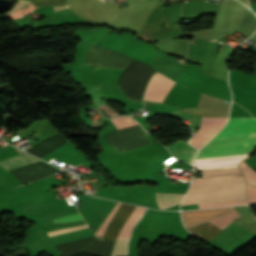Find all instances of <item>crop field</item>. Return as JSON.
Wrapping results in <instances>:
<instances>
[{
  "instance_id": "obj_9",
  "label": "crop field",
  "mask_w": 256,
  "mask_h": 256,
  "mask_svg": "<svg viewBox=\"0 0 256 256\" xmlns=\"http://www.w3.org/2000/svg\"><path fill=\"white\" fill-rule=\"evenodd\" d=\"M189 230L192 233H194L197 236V238H199L205 242L210 240L213 236H215L218 232L221 231L218 228H216L214 225H212L211 223L201 224V225L195 226L193 228H189Z\"/></svg>"
},
{
  "instance_id": "obj_5",
  "label": "crop field",
  "mask_w": 256,
  "mask_h": 256,
  "mask_svg": "<svg viewBox=\"0 0 256 256\" xmlns=\"http://www.w3.org/2000/svg\"><path fill=\"white\" fill-rule=\"evenodd\" d=\"M131 58L117 52L91 45L86 53L84 64H93L97 68H121L127 67Z\"/></svg>"
},
{
  "instance_id": "obj_11",
  "label": "crop field",
  "mask_w": 256,
  "mask_h": 256,
  "mask_svg": "<svg viewBox=\"0 0 256 256\" xmlns=\"http://www.w3.org/2000/svg\"><path fill=\"white\" fill-rule=\"evenodd\" d=\"M25 1H29L37 7L44 6V5L63 6L65 4H67V0H25ZM25 1L19 0L18 3L16 4L15 8L11 12H9L6 15V17L10 16L12 13L19 10L23 6L27 5L28 2H25Z\"/></svg>"
},
{
  "instance_id": "obj_15",
  "label": "crop field",
  "mask_w": 256,
  "mask_h": 256,
  "mask_svg": "<svg viewBox=\"0 0 256 256\" xmlns=\"http://www.w3.org/2000/svg\"><path fill=\"white\" fill-rule=\"evenodd\" d=\"M81 219H82V217L79 215V213H77V214L65 216L62 218L54 219L53 221H54V223H56V222L77 221V220H81Z\"/></svg>"
},
{
  "instance_id": "obj_12",
  "label": "crop field",
  "mask_w": 256,
  "mask_h": 256,
  "mask_svg": "<svg viewBox=\"0 0 256 256\" xmlns=\"http://www.w3.org/2000/svg\"><path fill=\"white\" fill-rule=\"evenodd\" d=\"M240 170L242 171L247 183L256 185V171L249 168L244 161L240 164Z\"/></svg>"
},
{
  "instance_id": "obj_17",
  "label": "crop field",
  "mask_w": 256,
  "mask_h": 256,
  "mask_svg": "<svg viewBox=\"0 0 256 256\" xmlns=\"http://www.w3.org/2000/svg\"><path fill=\"white\" fill-rule=\"evenodd\" d=\"M99 109L104 110L106 115L110 116V117H114V116H119L122 115L119 112H117L116 110L112 109L109 106L106 107H100Z\"/></svg>"
},
{
  "instance_id": "obj_14",
  "label": "crop field",
  "mask_w": 256,
  "mask_h": 256,
  "mask_svg": "<svg viewBox=\"0 0 256 256\" xmlns=\"http://www.w3.org/2000/svg\"><path fill=\"white\" fill-rule=\"evenodd\" d=\"M111 121L114 123L117 129L137 124V122L133 121L128 116L113 118Z\"/></svg>"
},
{
  "instance_id": "obj_1",
  "label": "crop field",
  "mask_w": 256,
  "mask_h": 256,
  "mask_svg": "<svg viewBox=\"0 0 256 256\" xmlns=\"http://www.w3.org/2000/svg\"><path fill=\"white\" fill-rule=\"evenodd\" d=\"M249 155L194 160L203 178L193 179L182 205L247 198L238 164Z\"/></svg>"
},
{
  "instance_id": "obj_8",
  "label": "crop field",
  "mask_w": 256,
  "mask_h": 256,
  "mask_svg": "<svg viewBox=\"0 0 256 256\" xmlns=\"http://www.w3.org/2000/svg\"><path fill=\"white\" fill-rule=\"evenodd\" d=\"M37 161H41L35 157H32L26 153L19 154L13 157H10L6 160L0 161V166L5 168L6 170H11L14 168H18L27 164H31Z\"/></svg>"
},
{
  "instance_id": "obj_4",
  "label": "crop field",
  "mask_w": 256,
  "mask_h": 256,
  "mask_svg": "<svg viewBox=\"0 0 256 256\" xmlns=\"http://www.w3.org/2000/svg\"><path fill=\"white\" fill-rule=\"evenodd\" d=\"M234 210V207L221 208V209H208V210H195L182 212L184 225L195 226L208 220L220 216L224 213ZM240 217L239 213L234 210L220 217L210 220L213 224L217 225L222 230L228 226L234 219Z\"/></svg>"
},
{
  "instance_id": "obj_21",
  "label": "crop field",
  "mask_w": 256,
  "mask_h": 256,
  "mask_svg": "<svg viewBox=\"0 0 256 256\" xmlns=\"http://www.w3.org/2000/svg\"><path fill=\"white\" fill-rule=\"evenodd\" d=\"M256 13V12H255Z\"/></svg>"
},
{
  "instance_id": "obj_6",
  "label": "crop field",
  "mask_w": 256,
  "mask_h": 256,
  "mask_svg": "<svg viewBox=\"0 0 256 256\" xmlns=\"http://www.w3.org/2000/svg\"><path fill=\"white\" fill-rule=\"evenodd\" d=\"M175 82L156 72L152 76L144 94V100L162 102ZM167 96V95H166ZM165 99V98H164Z\"/></svg>"
},
{
  "instance_id": "obj_7",
  "label": "crop field",
  "mask_w": 256,
  "mask_h": 256,
  "mask_svg": "<svg viewBox=\"0 0 256 256\" xmlns=\"http://www.w3.org/2000/svg\"><path fill=\"white\" fill-rule=\"evenodd\" d=\"M167 149L171 152L173 156L177 159H182L186 162L192 164V159L194 158L197 150L190 146L183 140H178L167 146Z\"/></svg>"
},
{
  "instance_id": "obj_2",
  "label": "crop field",
  "mask_w": 256,
  "mask_h": 256,
  "mask_svg": "<svg viewBox=\"0 0 256 256\" xmlns=\"http://www.w3.org/2000/svg\"><path fill=\"white\" fill-rule=\"evenodd\" d=\"M255 136L256 119L230 118L226 126L212 140ZM255 147L256 137L210 141L198 152L195 159L252 153Z\"/></svg>"
},
{
  "instance_id": "obj_10",
  "label": "crop field",
  "mask_w": 256,
  "mask_h": 256,
  "mask_svg": "<svg viewBox=\"0 0 256 256\" xmlns=\"http://www.w3.org/2000/svg\"><path fill=\"white\" fill-rule=\"evenodd\" d=\"M184 194L156 193L159 208L166 209L179 204Z\"/></svg>"
},
{
  "instance_id": "obj_16",
  "label": "crop field",
  "mask_w": 256,
  "mask_h": 256,
  "mask_svg": "<svg viewBox=\"0 0 256 256\" xmlns=\"http://www.w3.org/2000/svg\"><path fill=\"white\" fill-rule=\"evenodd\" d=\"M247 194L249 196L250 203H256V187L247 185Z\"/></svg>"
},
{
  "instance_id": "obj_20",
  "label": "crop field",
  "mask_w": 256,
  "mask_h": 256,
  "mask_svg": "<svg viewBox=\"0 0 256 256\" xmlns=\"http://www.w3.org/2000/svg\"><path fill=\"white\" fill-rule=\"evenodd\" d=\"M211 41H215V40H211Z\"/></svg>"
},
{
  "instance_id": "obj_18",
  "label": "crop field",
  "mask_w": 256,
  "mask_h": 256,
  "mask_svg": "<svg viewBox=\"0 0 256 256\" xmlns=\"http://www.w3.org/2000/svg\"><path fill=\"white\" fill-rule=\"evenodd\" d=\"M55 11L57 10H62V9H66L68 8V5L67 6H63V7H53Z\"/></svg>"
},
{
  "instance_id": "obj_3",
  "label": "crop field",
  "mask_w": 256,
  "mask_h": 256,
  "mask_svg": "<svg viewBox=\"0 0 256 256\" xmlns=\"http://www.w3.org/2000/svg\"><path fill=\"white\" fill-rule=\"evenodd\" d=\"M121 206H122L121 203L117 204V206L113 209V211L106 218V220L103 222V224L99 227V229L96 231L94 235L99 237V235L102 233V231L105 229V227L108 225L110 220L113 218V216L116 214V212L119 210ZM134 209H135L134 206L123 204V206L114 216V218L106 227V229L103 231V233L100 235V237L115 241L122 225L124 224V222L127 220V218L129 217V215L132 213ZM142 210L143 208L136 207V209L133 211L131 216L123 225L118 237L127 238V239L130 238L132 227L135 225L138 219L143 215L141 214ZM127 246H128V240L118 238L115 243L111 256H127Z\"/></svg>"
},
{
  "instance_id": "obj_19",
  "label": "crop field",
  "mask_w": 256,
  "mask_h": 256,
  "mask_svg": "<svg viewBox=\"0 0 256 256\" xmlns=\"http://www.w3.org/2000/svg\"><path fill=\"white\" fill-rule=\"evenodd\" d=\"M98 238V237H97ZM98 239H101L102 240V238H98Z\"/></svg>"
},
{
  "instance_id": "obj_13",
  "label": "crop field",
  "mask_w": 256,
  "mask_h": 256,
  "mask_svg": "<svg viewBox=\"0 0 256 256\" xmlns=\"http://www.w3.org/2000/svg\"><path fill=\"white\" fill-rule=\"evenodd\" d=\"M248 203H249L248 199H243V200L203 203V204H198V206L199 208H203V207L229 206V205H235V204H248Z\"/></svg>"
}]
</instances>
